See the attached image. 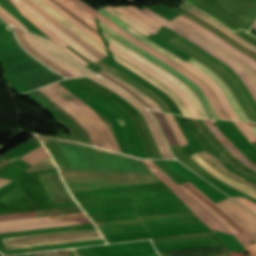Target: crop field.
I'll return each mask as SVG.
<instances>
[{"instance_id":"8a807250","label":"crop field","mask_w":256,"mask_h":256,"mask_svg":"<svg viewBox=\"0 0 256 256\" xmlns=\"http://www.w3.org/2000/svg\"><path fill=\"white\" fill-rule=\"evenodd\" d=\"M60 84V83H59ZM58 83L39 89L65 109L88 133L93 145L120 151L109 127L86 104ZM121 152V151H120Z\"/></svg>"},{"instance_id":"ac0d7876","label":"crop field","mask_w":256,"mask_h":256,"mask_svg":"<svg viewBox=\"0 0 256 256\" xmlns=\"http://www.w3.org/2000/svg\"><path fill=\"white\" fill-rule=\"evenodd\" d=\"M66 81L69 82L74 87H76L77 89L90 95L91 97H93L94 99H96L97 101L105 105L107 108H109L111 111H113L116 115H118L121 118V120L124 122L127 131L131 132L141 158H151L141 139L140 132L134 121V118L132 117L131 114H129L126 111L125 108H123L121 105H119L117 102H115L113 99H111L107 95L84 84L77 78L66 79Z\"/></svg>"},{"instance_id":"34b2d1b8","label":"crop field","mask_w":256,"mask_h":256,"mask_svg":"<svg viewBox=\"0 0 256 256\" xmlns=\"http://www.w3.org/2000/svg\"><path fill=\"white\" fill-rule=\"evenodd\" d=\"M187 190L194 198H196L204 207L212 212L217 218H219L226 227L234 234V236L243 244L246 248L248 256H256V241L255 239L245 231L231 216L218 207L214 202L207 198L201 191H199L190 182L180 185Z\"/></svg>"},{"instance_id":"412701ff","label":"crop field","mask_w":256,"mask_h":256,"mask_svg":"<svg viewBox=\"0 0 256 256\" xmlns=\"http://www.w3.org/2000/svg\"><path fill=\"white\" fill-rule=\"evenodd\" d=\"M99 12L102 13L103 15H105L106 17H108L109 19H111L112 21H114L119 26H121L128 33L138 37L139 39H141L143 42L148 44L153 49H155V50L159 51L160 53L164 54L165 56L173 59L174 61H176L177 63H179L180 65H182L186 69H188L189 71H191L193 74H195L197 77H199L202 81H204L215 92V94L217 95V97H218V99H219L223 108L229 107V104H228L224 94L220 91V89L216 86V84L212 80H210L206 75H204L201 71H199L198 69H196L192 65L186 63L185 61H183L179 57L175 56L174 54L170 53L166 49H164V48L158 46L157 44H155L154 42L150 41L149 39H147L146 37H144L143 35H141L137 31H135L133 28H131L130 26H128L127 24L122 22L120 19L115 17L114 15L108 13L107 11H105L103 9L100 10ZM224 111L231 119L238 120L236 114L234 113V111L232 110L231 107L225 108Z\"/></svg>"},{"instance_id":"f4fd0767","label":"crop field","mask_w":256,"mask_h":256,"mask_svg":"<svg viewBox=\"0 0 256 256\" xmlns=\"http://www.w3.org/2000/svg\"><path fill=\"white\" fill-rule=\"evenodd\" d=\"M48 6L60 13L63 17L77 26L80 30L103 45L102 39L96 30L93 16L76 6L70 0H42Z\"/></svg>"},{"instance_id":"dd49c442","label":"crop field","mask_w":256,"mask_h":256,"mask_svg":"<svg viewBox=\"0 0 256 256\" xmlns=\"http://www.w3.org/2000/svg\"><path fill=\"white\" fill-rule=\"evenodd\" d=\"M99 20H101L103 23L108 25L110 28H112L114 31L119 33L124 38H126V39L130 40L131 42L135 43L136 45L140 46L144 50L148 51L152 55H154V56L158 57L159 59H161L162 61H164L166 64H168V65L174 67L175 69L179 70L181 73L186 75L188 78L192 79L205 92V94L208 96V98H209L212 106L214 107L215 111L217 112L218 116L220 118H223V119H229L226 116V114L224 113V111L222 110V108L220 107V105H219L215 95L213 94L212 90L204 82H202L199 78L195 77L189 71H187V70L183 69L182 67L178 66L173 61H171L169 58H167L164 55L158 53L157 51L153 50L152 48L148 47L144 43H142L139 40H137L136 38H134L133 36L129 35L125 31H123L122 29H120L119 27L114 25L112 22H110L108 19H106L101 14H99Z\"/></svg>"},{"instance_id":"e52e79f7","label":"crop field","mask_w":256,"mask_h":256,"mask_svg":"<svg viewBox=\"0 0 256 256\" xmlns=\"http://www.w3.org/2000/svg\"><path fill=\"white\" fill-rule=\"evenodd\" d=\"M99 23V28L102 29L103 31H105L106 33H108L109 35H111L112 37H114L116 40H118L119 42L125 44L126 46L130 47L131 49L137 51L138 53L142 54L143 56H145L146 58H148L149 60L155 62L156 64L160 65L161 67H163L165 70L169 71L170 73H172L173 75H175L177 78H179L180 80H182L183 82H185L194 92L195 94L198 96V98L201 100L207 114L209 115L210 118H219L213 107L211 106L207 96L204 94V92L190 79H188L187 77H185L183 74H181L180 72H178L177 70L169 67L168 65H166L165 63H163L161 60L157 59L156 57L152 56L151 54H149L148 52L144 51L143 49H141L140 47L136 46L135 44L129 42L128 40L124 39L123 37H121L119 34H117L116 32H114L112 29H110L108 26H106L105 24H103L101 21L98 20Z\"/></svg>"},{"instance_id":"d8731c3e","label":"crop field","mask_w":256,"mask_h":256,"mask_svg":"<svg viewBox=\"0 0 256 256\" xmlns=\"http://www.w3.org/2000/svg\"><path fill=\"white\" fill-rule=\"evenodd\" d=\"M144 13L148 14L149 16H151L152 18H154L156 21H158L159 23L171 28L172 30L178 32L179 34L183 35L184 37H186L187 39L191 40L192 42H194L195 44H197L198 46H200L201 48H203L204 50H206L207 52H209L211 55H213L214 57L218 58L219 60H221L222 62L226 63L229 65V67L231 69H233L238 76L242 79V81L245 83V85L247 86L248 90L250 91V93L252 94V96L254 97V99L256 100V88L253 86V84L250 82V80L248 79V77L246 76L245 72L242 71L238 66H236L234 63H232L230 60H228L227 58H225L224 56H222L221 54H219L218 52H216L215 50L211 49L210 47L206 46L205 44H203L201 41H199L198 39H196L194 36L186 33L185 31L179 29L178 27H176L175 25L169 23L168 21H166L164 18L160 17L159 15L155 14L154 12L148 10V9H143Z\"/></svg>"},{"instance_id":"5a996713","label":"crop field","mask_w":256,"mask_h":256,"mask_svg":"<svg viewBox=\"0 0 256 256\" xmlns=\"http://www.w3.org/2000/svg\"><path fill=\"white\" fill-rule=\"evenodd\" d=\"M99 83H101L102 85L110 88L111 90H113L115 93L119 94L120 96H122L124 99H126L128 102H130L132 105H134L144 116L152 134L153 137L161 151V154L163 156V158H173V156L171 155V153L169 152L162 136L161 133L156 125V123L154 122L153 118L151 117V115L148 113V111L142 106L140 105L135 99H133L129 94H127L125 91L121 90L120 88H118L116 85L102 79L101 77H89Z\"/></svg>"},{"instance_id":"3316defc","label":"crop field","mask_w":256,"mask_h":256,"mask_svg":"<svg viewBox=\"0 0 256 256\" xmlns=\"http://www.w3.org/2000/svg\"><path fill=\"white\" fill-rule=\"evenodd\" d=\"M104 37H105V39L107 41L111 42L112 44H114L115 46L120 48L121 50L125 51L129 55H131L134 58L138 59L139 61H141L142 63L146 64L147 66L151 67L152 69H154L155 71H157L161 75H163L166 78H168L174 84H176L192 100L195 108L197 109V111L199 113V116L201 118H208V116H207L205 110L203 109L201 103L199 102V100L197 99V97L195 96V94L193 93V91L189 87L184 85L180 80L176 79L174 76H172L167 71H165L162 68L156 66L155 64H153L152 62L148 61L147 59H145L141 55L135 53L134 51L130 50L129 48H127L124 45L120 44L119 42L115 41L110 36H108L106 33H104Z\"/></svg>"},{"instance_id":"28ad6ade","label":"crop field","mask_w":256,"mask_h":256,"mask_svg":"<svg viewBox=\"0 0 256 256\" xmlns=\"http://www.w3.org/2000/svg\"><path fill=\"white\" fill-rule=\"evenodd\" d=\"M109 50H111L112 52H114L115 54L123 57L124 59H126L127 61L131 62L132 64H134L135 66L139 67L140 69H142L143 71L147 72L148 74H150L151 76H153L154 78H156L157 80H159L160 82H162L164 85H166L167 87H169L171 90H173L179 97L180 99L184 102V104L187 107L188 112L190 113L191 117H195V118H200L197 114V111L195 110V108L193 107L190 99L176 86L174 85L172 82H170L169 80H167L166 78H164L163 76L159 75L158 73H156L155 71L151 70L150 68H148L147 66L143 65L142 63L138 62L137 60L133 59L132 57L128 56L127 54L123 53L122 51H120L119 49H117L116 47H114L113 45H111L109 43Z\"/></svg>"},{"instance_id":"d1516ede","label":"crop field","mask_w":256,"mask_h":256,"mask_svg":"<svg viewBox=\"0 0 256 256\" xmlns=\"http://www.w3.org/2000/svg\"><path fill=\"white\" fill-rule=\"evenodd\" d=\"M38 175L53 204L74 202L63 185L58 172Z\"/></svg>"},{"instance_id":"22f410ed","label":"crop field","mask_w":256,"mask_h":256,"mask_svg":"<svg viewBox=\"0 0 256 256\" xmlns=\"http://www.w3.org/2000/svg\"><path fill=\"white\" fill-rule=\"evenodd\" d=\"M234 209H236L242 216H244L250 223H252L256 227V217L251 213L246 211L244 208L236 204L231 199H225ZM224 200L216 203L223 210H225L228 214H230L235 220H237L241 225H243L246 230L256 239V229L244 218L242 217L236 210H234L229 204H227Z\"/></svg>"},{"instance_id":"cbeb9de0","label":"crop field","mask_w":256,"mask_h":256,"mask_svg":"<svg viewBox=\"0 0 256 256\" xmlns=\"http://www.w3.org/2000/svg\"><path fill=\"white\" fill-rule=\"evenodd\" d=\"M17 4H19L22 8H24L27 12H29L32 16H34L37 20H39L41 23H43L45 26H47L49 29H51L55 34H57L63 41H65L69 46L77 50L79 53H81L83 56H85L87 59L97 62L99 61L98 58L87 52L85 49H83L81 46H79L75 41H73L69 36L65 35L61 30H59L57 27H55L53 24H51L49 21L44 19L42 16H40L37 12H35L33 9H31L27 4H25L22 0H14Z\"/></svg>"},{"instance_id":"5142ce71","label":"crop field","mask_w":256,"mask_h":256,"mask_svg":"<svg viewBox=\"0 0 256 256\" xmlns=\"http://www.w3.org/2000/svg\"><path fill=\"white\" fill-rule=\"evenodd\" d=\"M99 238H101L99 233H94V234H84V235H75V236H65V237H56V238L18 241V242H8V243H4V244H5L6 247H9V246H27V247H31V246L65 243V242H74V241L91 240V239H99ZM7 249H12V248H7Z\"/></svg>"},{"instance_id":"d9b57169","label":"crop field","mask_w":256,"mask_h":256,"mask_svg":"<svg viewBox=\"0 0 256 256\" xmlns=\"http://www.w3.org/2000/svg\"><path fill=\"white\" fill-rule=\"evenodd\" d=\"M171 22L175 23L176 25H178L179 27L191 32L192 34H194L196 37H198L199 39H201L203 42H205L206 44H208L209 46H211L212 48H214L215 50L219 51L220 53H222L223 55H225L226 57H228L229 59H231L233 62H235L237 65H239L246 73L247 75L250 77V79L252 80V82L254 83V85L256 86V72L253 71L247 64H245L244 62L240 61L239 59H237L236 57H234L233 55H231L230 53H228L227 51H225L224 49H222L220 46H218L217 44H215L214 42L210 41L209 39H207L205 36H203L201 33H199L198 31L184 25L183 23H181L180 21H178L177 19H173ZM190 33V34H191Z\"/></svg>"},{"instance_id":"733c2abd","label":"crop field","mask_w":256,"mask_h":256,"mask_svg":"<svg viewBox=\"0 0 256 256\" xmlns=\"http://www.w3.org/2000/svg\"><path fill=\"white\" fill-rule=\"evenodd\" d=\"M186 62L192 64L193 66H195L196 68L201 70L203 73H205L209 78H211L218 85V87L221 89V91L225 94V96H226L227 100L229 101L231 107L233 108V110L235 111V113L237 114V116L240 120L249 121V119L243 113V111L239 107L238 103L236 102L235 98L231 94L230 90L212 71L205 68L204 66H202L201 64H199L198 62H196L192 58L189 59Z\"/></svg>"},{"instance_id":"4a817a6b","label":"crop field","mask_w":256,"mask_h":256,"mask_svg":"<svg viewBox=\"0 0 256 256\" xmlns=\"http://www.w3.org/2000/svg\"><path fill=\"white\" fill-rule=\"evenodd\" d=\"M23 1L26 2L30 7H32L34 10H36L38 13H40L42 16H44L47 20H49L50 22L55 24L59 29H61L63 32H65L67 35H69L72 39H74L79 45H81L87 51L93 53L100 59L106 57L102 53H100L98 50L93 48L91 45H89L87 42H85L83 39H81L76 34H74L72 31H70L68 28H66L64 25H62L59 21H57L54 17H52L46 11H44L39 6L34 4L31 0H23Z\"/></svg>"},{"instance_id":"bc2a9ffb","label":"crop field","mask_w":256,"mask_h":256,"mask_svg":"<svg viewBox=\"0 0 256 256\" xmlns=\"http://www.w3.org/2000/svg\"><path fill=\"white\" fill-rule=\"evenodd\" d=\"M33 36L44 50L54 54L59 59L65 61L67 64H69L70 66H72L73 68H75L76 70H78L79 72H81L85 75H95L87 68H85V67L79 65L77 62H75L72 58H70L67 54H65L62 50H60L57 46H55L50 41H48L42 37H38L35 35H33Z\"/></svg>"},{"instance_id":"214f88e0","label":"crop field","mask_w":256,"mask_h":256,"mask_svg":"<svg viewBox=\"0 0 256 256\" xmlns=\"http://www.w3.org/2000/svg\"><path fill=\"white\" fill-rule=\"evenodd\" d=\"M191 158H193L196 162H198L201 166H203L206 170H208L211 174H213L214 176H216L217 178H219L220 180L224 181L225 183L229 184L230 186L245 192L247 194H249L250 196L256 198V190L251 189L235 180H232L228 177H226L225 175H223L222 173H220L219 171H217L216 169H214L210 164H208L203 158H201L199 155H197L196 153L193 154L192 156H190Z\"/></svg>"},{"instance_id":"92a150f3","label":"crop field","mask_w":256,"mask_h":256,"mask_svg":"<svg viewBox=\"0 0 256 256\" xmlns=\"http://www.w3.org/2000/svg\"><path fill=\"white\" fill-rule=\"evenodd\" d=\"M113 54V53H112ZM113 56L115 57L116 61L120 62L121 64L125 65L126 67H128L129 69H131L132 71H134L135 73L139 74L140 76H142L143 78L147 79L148 81H150L151 83H153L154 85H156L158 88H160L163 92H165L167 95H169L178 105L179 109L182 111L183 115L185 116H189L187 114L186 108L183 105V103L180 101V99L173 93L171 92L169 89H167L164 85H162L160 82H158L157 80L153 79L152 77H150L149 75H147L146 73H144L143 71L133 67L132 65H130L128 62H126L125 60L119 58L118 56H116L115 54H113Z\"/></svg>"},{"instance_id":"dafd665d","label":"crop field","mask_w":256,"mask_h":256,"mask_svg":"<svg viewBox=\"0 0 256 256\" xmlns=\"http://www.w3.org/2000/svg\"><path fill=\"white\" fill-rule=\"evenodd\" d=\"M98 73H100L103 76H105L106 78L114 81L115 83L121 85L128 92H130L135 98H137L142 104H144L146 107H150L152 109L161 111L160 107L155 102H153L151 99H149L148 97H146L145 95L140 93L138 90H136L135 88H133L132 86H130L129 84L124 82L123 80L117 78L116 76L112 75L111 73L107 72L104 69Z\"/></svg>"},{"instance_id":"00972430","label":"crop field","mask_w":256,"mask_h":256,"mask_svg":"<svg viewBox=\"0 0 256 256\" xmlns=\"http://www.w3.org/2000/svg\"><path fill=\"white\" fill-rule=\"evenodd\" d=\"M189 12H191V13L199 16L200 18L208 21L210 24H212L213 26L218 28L220 31H222L223 33H225L229 37L233 38L235 41L239 42L240 44L244 45L245 47L249 48L250 50L256 52V46H254V45L250 44L249 42L243 40L242 38L237 36L235 33L230 31L228 28H226L224 25H222L221 23H219L218 21H216L215 19L210 17L208 14H206V13H204V12H202V11L196 9V8L189 10Z\"/></svg>"},{"instance_id":"a9b5d70f","label":"crop field","mask_w":256,"mask_h":256,"mask_svg":"<svg viewBox=\"0 0 256 256\" xmlns=\"http://www.w3.org/2000/svg\"><path fill=\"white\" fill-rule=\"evenodd\" d=\"M78 212H81L79 207H73V208H65V209H56V210L0 216V221L39 217V216L61 215V214L78 213Z\"/></svg>"},{"instance_id":"4177f3b9","label":"crop field","mask_w":256,"mask_h":256,"mask_svg":"<svg viewBox=\"0 0 256 256\" xmlns=\"http://www.w3.org/2000/svg\"><path fill=\"white\" fill-rule=\"evenodd\" d=\"M27 42L36 50L38 51L40 54H42L43 56H45L46 58L50 59L51 61H53L54 63L58 64L59 66H61L62 68H64L65 70L69 71L70 73H72L75 76H81L82 74L79 73L78 71H76L75 69H73L72 67H70L69 65H67L66 63H64L63 61L57 59L55 56L49 54L48 52L44 51L39 45L38 43L35 41V39L33 38L32 34L27 33L25 31H22Z\"/></svg>"},{"instance_id":"730fd06b","label":"crop field","mask_w":256,"mask_h":256,"mask_svg":"<svg viewBox=\"0 0 256 256\" xmlns=\"http://www.w3.org/2000/svg\"><path fill=\"white\" fill-rule=\"evenodd\" d=\"M14 28V27H13ZM16 35L19 39V41L21 42V44L30 52L32 53L34 56H36L37 58H39L41 61H43L44 63H46L47 65H49L51 68H53L54 70H56L58 73H60L61 75L65 76V77H74L72 74H70L69 72L65 71L64 69H62L61 67L57 66L56 64H54L53 62L49 61L48 59H46L45 57H43L42 55H40L38 52H36L34 49H32L29 44L26 42V40L24 39L21 31L19 29L14 28Z\"/></svg>"},{"instance_id":"eef30255","label":"crop field","mask_w":256,"mask_h":256,"mask_svg":"<svg viewBox=\"0 0 256 256\" xmlns=\"http://www.w3.org/2000/svg\"><path fill=\"white\" fill-rule=\"evenodd\" d=\"M94 232H97L96 228L83 229V230H74V231H65V232H57V233H48V234H39V235H31V236H22V237H13V238H5V239H2V241L3 242H8V241L46 238V237L84 234V233H94Z\"/></svg>"},{"instance_id":"ae1a2a85","label":"crop field","mask_w":256,"mask_h":256,"mask_svg":"<svg viewBox=\"0 0 256 256\" xmlns=\"http://www.w3.org/2000/svg\"><path fill=\"white\" fill-rule=\"evenodd\" d=\"M34 1L37 2L39 5H41L43 8H45L48 12H50V13H51L52 15H54L55 17H57V18H59V19L62 18L61 15H59L57 12H55L54 10H52L50 7H48V6H47L46 4H44L42 1H40V0H34ZM34 1H33V2H34ZM37 3H36V4H37ZM38 4H37V5H38ZM41 6H40V7H41ZM42 7H41V8H42ZM45 9H44V10H45ZM59 21L62 22L63 24H64L65 22H67V20H65L64 18L61 19V20H59ZM66 25H68L71 29H73L76 33H78V34H79L80 36H82L84 39H86L87 41H89L91 44H93L94 46H96L98 49L101 50L102 48H104V47H102L101 45H99L97 42H95L94 40H92L90 37H88L86 34H84L82 31H80L78 28H76L74 25H72L71 23L68 22V23H66ZM68 26H67V27H68ZM82 37H81V38H82ZM86 40H85V41H86ZM89 42H88V43H89ZM90 43H89V44H90ZM93 45H92V46H93ZM96 47H95V48H96ZM97 48H96V49H97ZM100 50H99V51H100ZM100 52H102V53H104L105 55H107V52H106L105 48H104L103 50H101Z\"/></svg>"},{"instance_id":"d3111659","label":"crop field","mask_w":256,"mask_h":256,"mask_svg":"<svg viewBox=\"0 0 256 256\" xmlns=\"http://www.w3.org/2000/svg\"><path fill=\"white\" fill-rule=\"evenodd\" d=\"M11 1V0H10ZM14 5L17 6L19 11L23 16H25L27 19H29L33 24H35L39 29H41L46 35H48L51 39H53L57 44H59L61 47L67 46L65 42H63L57 35H55L52 31H50L48 28H46L44 25H42L39 21H37L34 17H32L29 13H27L25 10H23L20 6H18L16 3L11 1ZM15 6V7H16Z\"/></svg>"},{"instance_id":"750c4746","label":"crop field","mask_w":256,"mask_h":256,"mask_svg":"<svg viewBox=\"0 0 256 256\" xmlns=\"http://www.w3.org/2000/svg\"><path fill=\"white\" fill-rule=\"evenodd\" d=\"M198 154H200L204 159H206L209 163H211L213 166H215L218 170H220L222 173L242 182L245 183L247 185H250L252 187L256 188V184L249 182L243 178H240L238 176H236L235 174L231 173L228 169L224 168L220 163H218L213 157H211L208 153L206 152H198Z\"/></svg>"},{"instance_id":"bd1437ed","label":"crop field","mask_w":256,"mask_h":256,"mask_svg":"<svg viewBox=\"0 0 256 256\" xmlns=\"http://www.w3.org/2000/svg\"><path fill=\"white\" fill-rule=\"evenodd\" d=\"M151 111V110H150ZM159 123L170 146L178 144L162 113L151 111Z\"/></svg>"},{"instance_id":"1d83c4d3","label":"crop field","mask_w":256,"mask_h":256,"mask_svg":"<svg viewBox=\"0 0 256 256\" xmlns=\"http://www.w3.org/2000/svg\"><path fill=\"white\" fill-rule=\"evenodd\" d=\"M206 126L209 128L211 132H216L218 129L213 124L211 120H203ZM226 148L236 157L238 158L242 163L249 166L250 168L256 170V165L249 162L232 144L226 146Z\"/></svg>"},{"instance_id":"120bbe31","label":"crop field","mask_w":256,"mask_h":256,"mask_svg":"<svg viewBox=\"0 0 256 256\" xmlns=\"http://www.w3.org/2000/svg\"><path fill=\"white\" fill-rule=\"evenodd\" d=\"M50 156L49 153L46 151V149L43 146L38 147L37 149L31 151L30 153L26 154L23 156L22 160L30 163V164H35L38 161Z\"/></svg>"},{"instance_id":"d32e631a","label":"crop field","mask_w":256,"mask_h":256,"mask_svg":"<svg viewBox=\"0 0 256 256\" xmlns=\"http://www.w3.org/2000/svg\"><path fill=\"white\" fill-rule=\"evenodd\" d=\"M104 9H106V10L110 11L111 13H113L114 15L118 16L119 18H121L122 20H124L125 22L130 24L132 27H134L136 30H138L142 34H144L146 36L152 34V33L148 32L146 29H144L143 27H141L140 25H138L137 23H135L133 20L128 18L127 16L123 15L119 11L115 10L114 8H112L111 6L105 7Z\"/></svg>"},{"instance_id":"5866460e","label":"crop field","mask_w":256,"mask_h":256,"mask_svg":"<svg viewBox=\"0 0 256 256\" xmlns=\"http://www.w3.org/2000/svg\"><path fill=\"white\" fill-rule=\"evenodd\" d=\"M209 154H211L213 157H215L216 159H218L221 163H223L229 170L235 172L236 174H238L241 177H244L252 182L256 183V178L236 169L235 167H233L232 165H230L228 162H226L215 150L209 151Z\"/></svg>"},{"instance_id":"028f5c9d","label":"crop field","mask_w":256,"mask_h":256,"mask_svg":"<svg viewBox=\"0 0 256 256\" xmlns=\"http://www.w3.org/2000/svg\"><path fill=\"white\" fill-rule=\"evenodd\" d=\"M117 10L121 11L122 13L126 14L128 17H130L131 19H133L135 22H137L138 24H140L141 26H143L144 28H146L147 30H149L152 33H156V29L151 27L149 24H147L145 21H143L142 19L138 18L137 16L133 15L132 13H130L129 11H127L125 8L123 7H115Z\"/></svg>"},{"instance_id":"e1f06a70","label":"crop field","mask_w":256,"mask_h":256,"mask_svg":"<svg viewBox=\"0 0 256 256\" xmlns=\"http://www.w3.org/2000/svg\"><path fill=\"white\" fill-rule=\"evenodd\" d=\"M127 9H129L130 11L134 12L135 14H137L138 16H140L142 19H144L146 22H148L149 24H151L152 26L156 27L159 29L160 25L159 23H157L156 21H154L153 19L149 18L148 16H146L145 14H143L142 12H140L137 8H135L134 6H124ZM162 26V25H161Z\"/></svg>"},{"instance_id":"0bd39190","label":"crop field","mask_w":256,"mask_h":256,"mask_svg":"<svg viewBox=\"0 0 256 256\" xmlns=\"http://www.w3.org/2000/svg\"><path fill=\"white\" fill-rule=\"evenodd\" d=\"M236 201H238L243 206L247 207L251 211H253L256 214V204L251 202L248 199L242 198V197H233Z\"/></svg>"},{"instance_id":"b80d0937","label":"crop field","mask_w":256,"mask_h":256,"mask_svg":"<svg viewBox=\"0 0 256 256\" xmlns=\"http://www.w3.org/2000/svg\"><path fill=\"white\" fill-rule=\"evenodd\" d=\"M233 123L247 136L250 142L256 140L253 134L244 126L242 122L233 121Z\"/></svg>"},{"instance_id":"c035e120","label":"crop field","mask_w":256,"mask_h":256,"mask_svg":"<svg viewBox=\"0 0 256 256\" xmlns=\"http://www.w3.org/2000/svg\"><path fill=\"white\" fill-rule=\"evenodd\" d=\"M74 3H76L77 5H79L80 7H82L83 9H85L87 12H89L90 14H92L93 16H95L96 18H98V13L93 11L92 9H90L89 7H87L86 5H84L81 1L79 0H71Z\"/></svg>"},{"instance_id":"c21b1889","label":"crop field","mask_w":256,"mask_h":256,"mask_svg":"<svg viewBox=\"0 0 256 256\" xmlns=\"http://www.w3.org/2000/svg\"><path fill=\"white\" fill-rule=\"evenodd\" d=\"M40 220H43V218L26 219V220H17V221H9V222H0V225H8V224H16V223L40 221Z\"/></svg>"},{"instance_id":"03da06ac","label":"crop field","mask_w":256,"mask_h":256,"mask_svg":"<svg viewBox=\"0 0 256 256\" xmlns=\"http://www.w3.org/2000/svg\"><path fill=\"white\" fill-rule=\"evenodd\" d=\"M0 10L2 11V12H4L5 14H7L13 21H15L17 24H18V26L19 27H21V28H23V29H26L25 27H24V25L21 23V22H19L16 18H14L10 13H8L5 9H3L1 6H0ZM27 30V29H26Z\"/></svg>"},{"instance_id":"b54c1fbb","label":"crop field","mask_w":256,"mask_h":256,"mask_svg":"<svg viewBox=\"0 0 256 256\" xmlns=\"http://www.w3.org/2000/svg\"><path fill=\"white\" fill-rule=\"evenodd\" d=\"M63 49H65L69 54H71L74 58H76L78 61H80L83 64H88L87 62H85L83 59H81L79 56H77L74 52H72L70 49H68L67 47H64Z\"/></svg>"},{"instance_id":"5d738f31","label":"crop field","mask_w":256,"mask_h":256,"mask_svg":"<svg viewBox=\"0 0 256 256\" xmlns=\"http://www.w3.org/2000/svg\"><path fill=\"white\" fill-rule=\"evenodd\" d=\"M245 124L248 126L247 128L256 136V127L252 123H245Z\"/></svg>"},{"instance_id":"d23c7cc5","label":"crop field","mask_w":256,"mask_h":256,"mask_svg":"<svg viewBox=\"0 0 256 256\" xmlns=\"http://www.w3.org/2000/svg\"><path fill=\"white\" fill-rule=\"evenodd\" d=\"M0 16H1L4 20H6L8 23L17 26L10 18H8V17H7L5 14H3L1 11H0Z\"/></svg>"},{"instance_id":"425ffa30","label":"crop field","mask_w":256,"mask_h":256,"mask_svg":"<svg viewBox=\"0 0 256 256\" xmlns=\"http://www.w3.org/2000/svg\"><path fill=\"white\" fill-rule=\"evenodd\" d=\"M10 182V180L0 179V187Z\"/></svg>"},{"instance_id":"25e5ab78","label":"crop field","mask_w":256,"mask_h":256,"mask_svg":"<svg viewBox=\"0 0 256 256\" xmlns=\"http://www.w3.org/2000/svg\"><path fill=\"white\" fill-rule=\"evenodd\" d=\"M230 256H246V254L229 252Z\"/></svg>"},{"instance_id":"73cf0c24","label":"crop field","mask_w":256,"mask_h":256,"mask_svg":"<svg viewBox=\"0 0 256 256\" xmlns=\"http://www.w3.org/2000/svg\"><path fill=\"white\" fill-rule=\"evenodd\" d=\"M9 162L5 161V160H0V168L3 167L4 165L8 164Z\"/></svg>"},{"instance_id":"89e229c0","label":"crop field","mask_w":256,"mask_h":256,"mask_svg":"<svg viewBox=\"0 0 256 256\" xmlns=\"http://www.w3.org/2000/svg\"><path fill=\"white\" fill-rule=\"evenodd\" d=\"M62 256H70L66 250L59 251Z\"/></svg>"},{"instance_id":"1f2cbd36","label":"crop field","mask_w":256,"mask_h":256,"mask_svg":"<svg viewBox=\"0 0 256 256\" xmlns=\"http://www.w3.org/2000/svg\"><path fill=\"white\" fill-rule=\"evenodd\" d=\"M253 27H255V28H256V22H255V24L253 25Z\"/></svg>"},{"instance_id":"dbb93151","label":"crop field","mask_w":256,"mask_h":256,"mask_svg":"<svg viewBox=\"0 0 256 256\" xmlns=\"http://www.w3.org/2000/svg\"><path fill=\"white\" fill-rule=\"evenodd\" d=\"M256 125V123H254Z\"/></svg>"}]
</instances>
